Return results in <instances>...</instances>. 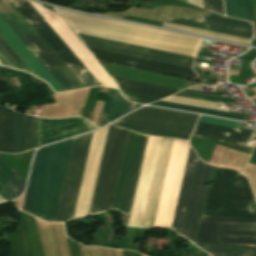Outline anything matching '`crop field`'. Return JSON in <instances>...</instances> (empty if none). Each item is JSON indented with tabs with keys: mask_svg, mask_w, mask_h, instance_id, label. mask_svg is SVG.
<instances>
[{
	"mask_svg": "<svg viewBox=\"0 0 256 256\" xmlns=\"http://www.w3.org/2000/svg\"><path fill=\"white\" fill-rule=\"evenodd\" d=\"M91 53L95 56L97 60L130 66L134 68L159 72V73H165V74H171V75H177V76H184V77H192L196 78L197 74L189 68H184L180 66L160 63L156 61L141 59L137 57L122 55L118 53L98 50L94 48H89Z\"/></svg>",
	"mask_w": 256,
	"mask_h": 256,
	"instance_id": "d9b57169",
	"label": "crop field"
},
{
	"mask_svg": "<svg viewBox=\"0 0 256 256\" xmlns=\"http://www.w3.org/2000/svg\"><path fill=\"white\" fill-rule=\"evenodd\" d=\"M151 105L199 112V113L215 115V116H220V117H225V118L245 120V117H246V115H242V114H234V113H228V112H222V111H216V110H210V109H204V108H198V107H192V106H186V105H180V104H174V103H168V102H162V101L155 102Z\"/></svg>",
	"mask_w": 256,
	"mask_h": 256,
	"instance_id": "ae1a2a85",
	"label": "crop field"
},
{
	"mask_svg": "<svg viewBox=\"0 0 256 256\" xmlns=\"http://www.w3.org/2000/svg\"><path fill=\"white\" fill-rule=\"evenodd\" d=\"M86 46L191 68L193 58L117 41L79 34Z\"/></svg>",
	"mask_w": 256,
	"mask_h": 256,
	"instance_id": "22f410ed",
	"label": "crop field"
},
{
	"mask_svg": "<svg viewBox=\"0 0 256 256\" xmlns=\"http://www.w3.org/2000/svg\"><path fill=\"white\" fill-rule=\"evenodd\" d=\"M197 242L256 246V220L203 216Z\"/></svg>",
	"mask_w": 256,
	"mask_h": 256,
	"instance_id": "d8731c3e",
	"label": "crop field"
},
{
	"mask_svg": "<svg viewBox=\"0 0 256 256\" xmlns=\"http://www.w3.org/2000/svg\"><path fill=\"white\" fill-rule=\"evenodd\" d=\"M247 179L234 170L216 168L203 215L256 219V202Z\"/></svg>",
	"mask_w": 256,
	"mask_h": 256,
	"instance_id": "412701ff",
	"label": "crop field"
},
{
	"mask_svg": "<svg viewBox=\"0 0 256 256\" xmlns=\"http://www.w3.org/2000/svg\"><path fill=\"white\" fill-rule=\"evenodd\" d=\"M185 92H192V93H198V94H205V95H211L214 96V93L210 92H200V91H191V90H184Z\"/></svg>",
	"mask_w": 256,
	"mask_h": 256,
	"instance_id": "5866460e",
	"label": "crop field"
},
{
	"mask_svg": "<svg viewBox=\"0 0 256 256\" xmlns=\"http://www.w3.org/2000/svg\"><path fill=\"white\" fill-rule=\"evenodd\" d=\"M25 181L0 159V186L16 197L24 189Z\"/></svg>",
	"mask_w": 256,
	"mask_h": 256,
	"instance_id": "4177f3b9",
	"label": "crop field"
},
{
	"mask_svg": "<svg viewBox=\"0 0 256 256\" xmlns=\"http://www.w3.org/2000/svg\"><path fill=\"white\" fill-rule=\"evenodd\" d=\"M187 1L191 2V3H194V4H196V5L201 7L202 0H201V3H200V0H187ZM202 7H203V4H202Z\"/></svg>",
	"mask_w": 256,
	"mask_h": 256,
	"instance_id": "028f5c9d",
	"label": "crop field"
},
{
	"mask_svg": "<svg viewBox=\"0 0 256 256\" xmlns=\"http://www.w3.org/2000/svg\"><path fill=\"white\" fill-rule=\"evenodd\" d=\"M85 87L100 85L26 0H10Z\"/></svg>",
	"mask_w": 256,
	"mask_h": 256,
	"instance_id": "5a996713",
	"label": "crop field"
},
{
	"mask_svg": "<svg viewBox=\"0 0 256 256\" xmlns=\"http://www.w3.org/2000/svg\"><path fill=\"white\" fill-rule=\"evenodd\" d=\"M0 62H1L2 64L8 65L7 62H6L1 56H0ZM1 63H0V64H1ZM8 66H9V65H8Z\"/></svg>",
	"mask_w": 256,
	"mask_h": 256,
	"instance_id": "e1f06a70",
	"label": "crop field"
},
{
	"mask_svg": "<svg viewBox=\"0 0 256 256\" xmlns=\"http://www.w3.org/2000/svg\"><path fill=\"white\" fill-rule=\"evenodd\" d=\"M108 128L109 126L93 134L73 219L89 213Z\"/></svg>",
	"mask_w": 256,
	"mask_h": 256,
	"instance_id": "d1516ede",
	"label": "crop field"
},
{
	"mask_svg": "<svg viewBox=\"0 0 256 256\" xmlns=\"http://www.w3.org/2000/svg\"><path fill=\"white\" fill-rule=\"evenodd\" d=\"M128 133L110 125L89 215L112 207Z\"/></svg>",
	"mask_w": 256,
	"mask_h": 256,
	"instance_id": "dd49c442",
	"label": "crop field"
},
{
	"mask_svg": "<svg viewBox=\"0 0 256 256\" xmlns=\"http://www.w3.org/2000/svg\"><path fill=\"white\" fill-rule=\"evenodd\" d=\"M210 168L191 148L171 229L192 243L195 242L208 189Z\"/></svg>",
	"mask_w": 256,
	"mask_h": 256,
	"instance_id": "34b2d1b8",
	"label": "crop field"
},
{
	"mask_svg": "<svg viewBox=\"0 0 256 256\" xmlns=\"http://www.w3.org/2000/svg\"><path fill=\"white\" fill-rule=\"evenodd\" d=\"M167 99H173V100H179V101H185V102H191V103H197V104H203V105H209V106H215V107H217V104H222V103L208 102V101L188 99V98L175 97V96H170ZM222 105H225V104H222Z\"/></svg>",
	"mask_w": 256,
	"mask_h": 256,
	"instance_id": "1d83c4d3",
	"label": "crop field"
},
{
	"mask_svg": "<svg viewBox=\"0 0 256 256\" xmlns=\"http://www.w3.org/2000/svg\"><path fill=\"white\" fill-rule=\"evenodd\" d=\"M161 138L149 136L128 226L140 227Z\"/></svg>",
	"mask_w": 256,
	"mask_h": 256,
	"instance_id": "cbeb9de0",
	"label": "crop field"
},
{
	"mask_svg": "<svg viewBox=\"0 0 256 256\" xmlns=\"http://www.w3.org/2000/svg\"><path fill=\"white\" fill-rule=\"evenodd\" d=\"M147 136L129 133L112 209L128 214Z\"/></svg>",
	"mask_w": 256,
	"mask_h": 256,
	"instance_id": "3316defc",
	"label": "crop field"
},
{
	"mask_svg": "<svg viewBox=\"0 0 256 256\" xmlns=\"http://www.w3.org/2000/svg\"><path fill=\"white\" fill-rule=\"evenodd\" d=\"M173 140L162 138L141 227H153Z\"/></svg>",
	"mask_w": 256,
	"mask_h": 256,
	"instance_id": "733c2abd",
	"label": "crop field"
},
{
	"mask_svg": "<svg viewBox=\"0 0 256 256\" xmlns=\"http://www.w3.org/2000/svg\"><path fill=\"white\" fill-rule=\"evenodd\" d=\"M112 79L120 87L121 93L125 98L145 103L155 101L179 91L169 89L170 87L165 88L117 77H112Z\"/></svg>",
	"mask_w": 256,
	"mask_h": 256,
	"instance_id": "214f88e0",
	"label": "crop field"
},
{
	"mask_svg": "<svg viewBox=\"0 0 256 256\" xmlns=\"http://www.w3.org/2000/svg\"><path fill=\"white\" fill-rule=\"evenodd\" d=\"M95 128L97 127L81 118L53 120L39 118V146L81 134Z\"/></svg>",
	"mask_w": 256,
	"mask_h": 256,
	"instance_id": "bc2a9ffb",
	"label": "crop field"
},
{
	"mask_svg": "<svg viewBox=\"0 0 256 256\" xmlns=\"http://www.w3.org/2000/svg\"><path fill=\"white\" fill-rule=\"evenodd\" d=\"M37 147V118L14 112V153Z\"/></svg>",
	"mask_w": 256,
	"mask_h": 256,
	"instance_id": "dafd665d",
	"label": "crop field"
},
{
	"mask_svg": "<svg viewBox=\"0 0 256 256\" xmlns=\"http://www.w3.org/2000/svg\"><path fill=\"white\" fill-rule=\"evenodd\" d=\"M163 26L178 29V30H182V31H187V32H191V33H195V34H199V35H203V36H207V37H211V38L230 41V42H238V43L249 44L250 41H251L249 39H244V38L229 36V35H225V34H220V33H215V32H210V31H205V30H200V29H195V28H190V27H185V26L166 23V22H164Z\"/></svg>",
	"mask_w": 256,
	"mask_h": 256,
	"instance_id": "d3111659",
	"label": "crop field"
},
{
	"mask_svg": "<svg viewBox=\"0 0 256 256\" xmlns=\"http://www.w3.org/2000/svg\"><path fill=\"white\" fill-rule=\"evenodd\" d=\"M7 5H5V3ZM0 0V17L12 29V31L24 42L38 37L36 32L29 26L23 17L16 11L8 0ZM26 47L33 53L39 62L48 72L64 67L62 62L55 56L49 47L40 37L24 42ZM53 78L61 85L64 90L80 88V83L68 71L66 67L50 72Z\"/></svg>",
	"mask_w": 256,
	"mask_h": 256,
	"instance_id": "f4fd0767",
	"label": "crop field"
},
{
	"mask_svg": "<svg viewBox=\"0 0 256 256\" xmlns=\"http://www.w3.org/2000/svg\"><path fill=\"white\" fill-rule=\"evenodd\" d=\"M0 151L13 153V110L0 107Z\"/></svg>",
	"mask_w": 256,
	"mask_h": 256,
	"instance_id": "a9b5d70f",
	"label": "crop field"
},
{
	"mask_svg": "<svg viewBox=\"0 0 256 256\" xmlns=\"http://www.w3.org/2000/svg\"><path fill=\"white\" fill-rule=\"evenodd\" d=\"M0 52L11 63L13 67L21 70L31 71L1 36H0Z\"/></svg>",
	"mask_w": 256,
	"mask_h": 256,
	"instance_id": "750c4746",
	"label": "crop field"
},
{
	"mask_svg": "<svg viewBox=\"0 0 256 256\" xmlns=\"http://www.w3.org/2000/svg\"><path fill=\"white\" fill-rule=\"evenodd\" d=\"M0 34L17 52V54L24 60V62L31 68V70L37 77L47 81L55 91H63L61 87L54 81V79L48 74V72L42 67V65L29 52V50L16 37V35L10 30V28L3 22L1 18Z\"/></svg>",
	"mask_w": 256,
	"mask_h": 256,
	"instance_id": "92a150f3",
	"label": "crop field"
},
{
	"mask_svg": "<svg viewBox=\"0 0 256 256\" xmlns=\"http://www.w3.org/2000/svg\"><path fill=\"white\" fill-rule=\"evenodd\" d=\"M0 195H2L4 198H6L7 200L9 199H12L14 198L13 196H11L9 193H7L5 190H3L1 187H0ZM1 196V197H2ZM5 199V200H6Z\"/></svg>",
	"mask_w": 256,
	"mask_h": 256,
	"instance_id": "d32e631a",
	"label": "crop field"
},
{
	"mask_svg": "<svg viewBox=\"0 0 256 256\" xmlns=\"http://www.w3.org/2000/svg\"><path fill=\"white\" fill-rule=\"evenodd\" d=\"M179 95L192 96V97L205 98V99H212V100L232 101L229 98H216V97H208V96H200V95H192V94H184V93H179Z\"/></svg>",
	"mask_w": 256,
	"mask_h": 256,
	"instance_id": "120bbe31",
	"label": "crop field"
},
{
	"mask_svg": "<svg viewBox=\"0 0 256 256\" xmlns=\"http://www.w3.org/2000/svg\"><path fill=\"white\" fill-rule=\"evenodd\" d=\"M130 104L121 97L118 90L110 88L100 117L110 122L127 113Z\"/></svg>",
	"mask_w": 256,
	"mask_h": 256,
	"instance_id": "00972430",
	"label": "crop field"
},
{
	"mask_svg": "<svg viewBox=\"0 0 256 256\" xmlns=\"http://www.w3.org/2000/svg\"><path fill=\"white\" fill-rule=\"evenodd\" d=\"M74 140L38 150L23 210L48 221H55Z\"/></svg>",
	"mask_w": 256,
	"mask_h": 256,
	"instance_id": "ac0d7876",
	"label": "crop field"
},
{
	"mask_svg": "<svg viewBox=\"0 0 256 256\" xmlns=\"http://www.w3.org/2000/svg\"><path fill=\"white\" fill-rule=\"evenodd\" d=\"M198 117L196 114L145 107L115 123L144 132L189 138Z\"/></svg>",
	"mask_w": 256,
	"mask_h": 256,
	"instance_id": "e52e79f7",
	"label": "crop field"
},
{
	"mask_svg": "<svg viewBox=\"0 0 256 256\" xmlns=\"http://www.w3.org/2000/svg\"><path fill=\"white\" fill-rule=\"evenodd\" d=\"M205 123L221 125L231 128H239L238 122H233L229 120L216 119L211 117H202V121ZM230 129L220 126H214L209 124H203L198 122L195 132L193 134L194 137H200L210 140H216L221 142H227L237 145L245 146L255 130H236Z\"/></svg>",
	"mask_w": 256,
	"mask_h": 256,
	"instance_id": "5142ce71",
	"label": "crop field"
},
{
	"mask_svg": "<svg viewBox=\"0 0 256 256\" xmlns=\"http://www.w3.org/2000/svg\"><path fill=\"white\" fill-rule=\"evenodd\" d=\"M204 8L222 14V3L221 0H203Z\"/></svg>",
	"mask_w": 256,
	"mask_h": 256,
	"instance_id": "bd1437ed",
	"label": "crop field"
},
{
	"mask_svg": "<svg viewBox=\"0 0 256 256\" xmlns=\"http://www.w3.org/2000/svg\"><path fill=\"white\" fill-rule=\"evenodd\" d=\"M165 21L249 39L252 37L251 23L218 15L204 14L202 20L183 17L175 20L165 19Z\"/></svg>",
	"mask_w": 256,
	"mask_h": 256,
	"instance_id": "4a817a6b",
	"label": "crop field"
},
{
	"mask_svg": "<svg viewBox=\"0 0 256 256\" xmlns=\"http://www.w3.org/2000/svg\"><path fill=\"white\" fill-rule=\"evenodd\" d=\"M91 135L77 137L75 140L56 221H66L72 217Z\"/></svg>",
	"mask_w": 256,
	"mask_h": 256,
	"instance_id": "28ad6ade",
	"label": "crop field"
},
{
	"mask_svg": "<svg viewBox=\"0 0 256 256\" xmlns=\"http://www.w3.org/2000/svg\"><path fill=\"white\" fill-rule=\"evenodd\" d=\"M227 16L252 21L253 10L249 0H224Z\"/></svg>",
	"mask_w": 256,
	"mask_h": 256,
	"instance_id": "eef30255",
	"label": "crop field"
},
{
	"mask_svg": "<svg viewBox=\"0 0 256 256\" xmlns=\"http://www.w3.org/2000/svg\"><path fill=\"white\" fill-rule=\"evenodd\" d=\"M211 256H256V248L197 243Z\"/></svg>",
	"mask_w": 256,
	"mask_h": 256,
	"instance_id": "730fd06b",
	"label": "crop field"
},
{
	"mask_svg": "<svg viewBox=\"0 0 256 256\" xmlns=\"http://www.w3.org/2000/svg\"><path fill=\"white\" fill-rule=\"evenodd\" d=\"M55 13L79 33L156 48L191 56L199 39L160 29L145 28L126 23L87 16L53 8ZM202 39L193 53L195 57Z\"/></svg>",
	"mask_w": 256,
	"mask_h": 256,
	"instance_id": "8a807250",
	"label": "crop field"
},
{
	"mask_svg": "<svg viewBox=\"0 0 256 256\" xmlns=\"http://www.w3.org/2000/svg\"><path fill=\"white\" fill-rule=\"evenodd\" d=\"M0 200L2 201V202H4V201H6L3 197H1L0 196ZM1 201H0V203H1Z\"/></svg>",
	"mask_w": 256,
	"mask_h": 256,
	"instance_id": "0bd39190",
	"label": "crop field"
}]
</instances>
